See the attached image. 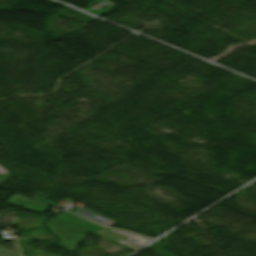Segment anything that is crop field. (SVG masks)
<instances>
[{
  "mask_svg": "<svg viewBox=\"0 0 256 256\" xmlns=\"http://www.w3.org/2000/svg\"><path fill=\"white\" fill-rule=\"evenodd\" d=\"M14 198H17V199H20L22 201L28 202L30 204L19 201V200H16ZM7 203L12 204V205L21 206V207H24L26 209H30V210H34V211H38V212H42V213H44L45 210L48 208V205L42 204L40 202L31 200V199H28V198H25V197L17 195V194H15ZM33 204L38 205L40 207L35 206Z\"/></svg>",
  "mask_w": 256,
  "mask_h": 256,
  "instance_id": "obj_3",
  "label": "crop field"
},
{
  "mask_svg": "<svg viewBox=\"0 0 256 256\" xmlns=\"http://www.w3.org/2000/svg\"><path fill=\"white\" fill-rule=\"evenodd\" d=\"M10 176H12L11 174H6V175H4V176H2V175H0V183L2 182V181H4V180H6L7 178H9Z\"/></svg>",
  "mask_w": 256,
  "mask_h": 256,
  "instance_id": "obj_6",
  "label": "crop field"
},
{
  "mask_svg": "<svg viewBox=\"0 0 256 256\" xmlns=\"http://www.w3.org/2000/svg\"><path fill=\"white\" fill-rule=\"evenodd\" d=\"M5 173H7V171L6 170H4L2 167H0V174H5Z\"/></svg>",
  "mask_w": 256,
  "mask_h": 256,
  "instance_id": "obj_7",
  "label": "crop field"
},
{
  "mask_svg": "<svg viewBox=\"0 0 256 256\" xmlns=\"http://www.w3.org/2000/svg\"><path fill=\"white\" fill-rule=\"evenodd\" d=\"M86 211H88V213ZM74 212H76V213H78V214H80V215H82L84 217H87V218H89V219H91V220H93V221H95L97 223L104 224V225H107V226H110L113 223L117 222V221H115L113 219L105 217V216H103L101 214L93 212V211H91L89 209H86L84 207H82V208H80V209H78V210H76Z\"/></svg>",
  "mask_w": 256,
  "mask_h": 256,
  "instance_id": "obj_4",
  "label": "crop field"
},
{
  "mask_svg": "<svg viewBox=\"0 0 256 256\" xmlns=\"http://www.w3.org/2000/svg\"><path fill=\"white\" fill-rule=\"evenodd\" d=\"M100 231L120 239L119 241H115V242L125 246L128 249H136V248L144 245L146 242L150 241V239H147V238H143L140 236L132 235V234L121 232V231L110 230L107 228L104 230H100ZM125 238H127L129 240L126 241V240H124ZM132 241H136V242L133 243Z\"/></svg>",
  "mask_w": 256,
  "mask_h": 256,
  "instance_id": "obj_2",
  "label": "crop field"
},
{
  "mask_svg": "<svg viewBox=\"0 0 256 256\" xmlns=\"http://www.w3.org/2000/svg\"><path fill=\"white\" fill-rule=\"evenodd\" d=\"M32 199H35V200H37V201H40V202H43V203L49 204V205L54 206V207L58 206V205H56V204H54V203H51V202L46 201V200H43V199L38 198V197H36V196H34Z\"/></svg>",
  "mask_w": 256,
  "mask_h": 256,
  "instance_id": "obj_5",
  "label": "crop field"
},
{
  "mask_svg": "<svg viewBox=\"0 0 256 256\" xmlns=\"http://www.w3.org/2000/svg\"><path fill=\"white\" fill-rule=\"evenodd\" d=\"M46 227L53 231L60 239L58 245L68 248L72 251H74L79 243L83 240V238L89 234L88 232L66 224L55 218L50 219L47 222Z\"/></svg>",
  "mask_w": 256,
  "mask_h": 256,
  "instance_id": "obj_1",
  "label": "crop field"
}]
</instances>
